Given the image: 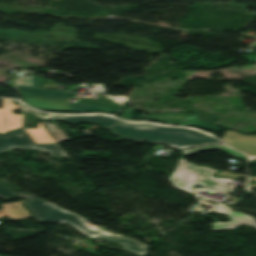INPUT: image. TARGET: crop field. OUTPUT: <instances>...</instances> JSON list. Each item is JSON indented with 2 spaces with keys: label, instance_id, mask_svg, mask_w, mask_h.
I'll return each instance as SVG.
<instances>
[{
  "label": "crop field",
  "instance_id": "obj_1",
  "mask_svg": "<svg viewBox=\"0 0 256 256\" xmlns=\"http://www.w3.org/2000/svg\"><path fill=\"white\" fill-rule=\"evenodd\" d=\"M12 147L43 149L50 152L51 155H64L57 144L35 145L30 136L24 130L13 131L5 136L0 135V152L8 150ZM0 196L4 198L24 197L30 199V201L25 205L32 209L38 222H55L59 220H64L74 226L77 230H79L87 237H103L112 239L120 243L125 249L133 251L140 255H143L148 249L147 247L140 245L130 239L113 236L107 233L102 228L91 229L86 226L82 219L77 217L76 215L62 211L52 205L45 204L44 201L37 198L15 194L3 188L2 186H0Z\"/></svg>",
  "mask_w": 256,
  "mask_h": 256
},
{
  "label": "crop field",
  "instance_id": "obj_2",
  "mask_svg": "<svg viewBox=\"0 0 256 256\" xmlns=\"http://www.w3.org/2000/svg\"><path fill=\"white\" fill-rule=\"evenodd\" d=\"M108 129L127 140H148L160 142L176 148L218 142L217 139L201 132L181 127H167L151 123L131 124L122 122Z\"/></svg>",
  "mask_w": 256,
  "mask_h": 256
},
{
  "label": "crop field",
  "instance_id": "obj_3",
  "mask_svg": "<svg viewBox=\"0 0 256 256\" xmlns=\"http://www.w3.org/2000/svg\"><path fill=\"white\" fill-rule=\"evenodd\" d=\"M25 79V81H22ZM17 86L22 95L55 98L61 99L63 97L73 96L74 92L47 90L41 89V78H17ZM83 104H71L69 111L72 112H86V111H101L113 113L120 108V104L113 98L97 94L95 98L76 97Z\"/></svg>",
  "mask_w": 256,
  "mask_h": 256
},
{
  "label": "crop field",
  "instance_id": "obj_4",
  "mask_svg": "<svg viewBox=\"0 0 256 256\" xmlns=\"http://www.w3.org/2000/svg\"><path fill=\"white\" fill-rule=\"evenodd\" d=\"M215 170L206 166H196L180 159L173 174L169 178L172 185L194 194L191 190L195 183L203 184V187L223 192H231L234 188L227 186L232 180L223 178H214L212 174Z\"/></svg>",
  "mask_w": 256,
  "mask_h": 256
},
{
  "label": "crop field",
  "instance_id": "obj_5",
  "mask_svg": "<svg viewBox=\"0 0 256 256\" xmlns=\"http://www.w3.org/2000/svg\"><path fill=\"white\" fill-rule=\"evenodd\" d=\"M216 116L209 115L205 112H193V113H163V114H151L146 120H155L166 123H173L178 125L196 126L203 129L220 131L219 127L213 126Z\"/></svg>",
  "mask_w": 256,
  "mask_h": 256
},
{
  "label": "crop field",
  "instance_id": "obj_6",
  "mask_svg": "<svg viewBox=\"0 0 256 256\" xmlns=\"http://www.w3.org/2000/svg\"><path fill=\"white\" fill-rule=\"evenodd\" d=\"M222 140L228 142L235 149L256 156V136L254 135H241L238 132L227 130Z\"/></svg>",
  "mask_w": 256,
  "mask_h": 256
},
{
  "label": "crop field",
  "instance_id": "obj_7",
  "mask_svg": "<svg viewBox=\"0 0 256 256\" xmlns=\"http://www.w3.org/2000/svg\"><path fill=\"white\" fill-rule=\"evenodd\" d=\"M14 109L20 108L13 104L11 100L2 99V109H0V133L21 126L22 114H13L12 111Z\"/></svg>",
  "mask_w": 256,
  "mask_h": 256
},
{
  "label": "crop field",
  "instance_id": "obj_8",
  "mask_svg": "<svg viewBox=\"0 0 256 256\" xmlns=\"http://www.w3.org/2000/svg\"><path fill=\"white\" fill-rule=\"evenodd\" d=\"M215 212H222L224 214H227L231 218V222L229 223H222V222H215L211 225L213 226L212 230H224V229H232L235 227V225L240 223H247L254 227H256V221L255 219L241 213V212H231L228 211V207L224 204H219L214 209Z\"/></svg>",
  "mask_w": 256,
  "mask_h": 256
},
{
  "label": "crop field",
  "instance_id": "obj_9",
  "mask_svg": "<svg viewBox=\"0 0 256 256\" xmlns=\"http://www.w3.org/2000/svg\"><path fill=\"white\" fill-rule=\"evenodd\" d=\"M45 118L46 120H61V121H67L69 123H78L81 121L98 123L102 125L103 128H106L119 121L109 116H100V115H51Z\"/></svg>",
  "mask_w": 256,
  "mask_h": 256
},
{
  "label": "crop field",
  "instance_id": "obj_10",
  "mask_svg": "<svg viewBox=\"0 0 256 256\" xmlns=\"http://www.w3.org/2000/svg\"><path fill=\"white\" fill-rule=\"evenodd\" d=\"M21 202L1 204L0 218L7 217L11 220L30 218L31 215L28 210L21 205Z\"/></svg>",
  "mask_w": 256,
  "mask_h": 256
},
{
  "label": "crop field",
  "instance_id": "obj_11",
  "mask_svg": "<svg viewBox=\"0 0 256 256\" xmlns=\"http://www.w3.org/2000/svg\"><path fill=\"white\" fill-rule=\"evenodd\" d=\"M215 148H219L227 153H229L230 155L234 156V157H238L240 159H243L245 161H247L246 157L243 156L241 153L234 151L228 147H226L223 144H219V145H212V146H205V147H198V148H191V149H184L181 150L183 152V155H189V154H195L198 151H202V150H208V149H215Z\"/></svg>",
  "mask_w": 256,
  "mask_h": 256
},
{
  "label": "crop field",
  "instance_id": "obj_12",
  "mask_svg": "<svg viewBox=\"0 0 256 256\" xmlns=\"http://www.w3.org/2000/svg\"><path fill=\"white\" fill-rule=\"evenodd\" d=\"M48 134L53 138L55 142H61L63 140H70L57 123H45L41 122Z\"/></svg>",
  "mask_w": 256,
  "mask_h": 256
},
{
  "label": "crop field",
  "instance_id": "obj_13",
  "mask_svg": "<svg viewBox=\"0 0 256 256\" xmlns=\"http://www.w3.org/2000/svg\"><path fill=\"white\" fill-rule=\"evenodd\" d=\"M38 127L35 129L24 128L30 134L35 143H46V142H54L51 137L44 130L42 125L37 123Z\"/></svg>",
  "mask_w": 256,
  "mask_h": 256
},
{
  "label": "crop field",
  "instance_id": "obj_14",
  "mask_svg": "<svg viewBox=\"0 0 256 256\" xmlns=\"http://www.w3.org/2000/svg\"><path fill=\"white\" fill-rule=\"evenodd\" d=\"M37 121L36 118L29 114V113H24V126H34L33 122Z\"/></svg>",
  "mask_w": 256,
  "mask_h": 256
},
{
  "label": "crop field",
  "instance_id": "obj_15",
  "mask_svg": "<svg viewBox=\"0 0 256 256\" xmlns=\"http://www.w3.org/2000/svg\"><path fill=\"white\" fill-rule=\"evenodd\" d=\"M136 110L132 109V108H126L125 112L123 113L122 117L123 119L126 120H131L132 116L134 115Z\"/></svg>",
  "mask_w": 256,
  "mask_h": 256
},
{
  "label": "crop field",
  "instance_id": "obj_16",
  "mask_svg": "<svg viewBox=\"0 0 256 256\" xmlns=\"http://www.w3.org/2000/svg\"><path fill=\"white\" fill-rule=\"evenodd\" d=\"M217 175H220V176H229V177H239V176L246 177V175H243V174L229 173V172H225V171H222V172H220V173L217 174Z\"/></svg>",
  "mask_w": 256,
  "mask_h": 256
},
{
  "label": "crop field",
  "instance_id": "obj_17",
  "mask_svg": "<svg viewBox=\"0 0 256 256\" xmlns=\"http://www.w3.org/2000/svg\"><path fill=\"white\" fill-rule=\"evenodd\" d=\"M92 86L95 87V89H92V91H97V92H101V93H105V89L102 87L103 85L102 84H90Z\"/></svg>",
  "mask_w": 256,
  "mask_h": 256
},
{
  "label": "crop field",
  "instance_id": "obj_18",
  "mask_svg": "<svg viewBox=\"0 0 256 256\" xmlns=\"http://www.w3.org/2000/svg\"><path fill=\"white\" fill-rule=\"evenodd\" d=\"M10 81H15V79H13V75H17V73H10Z\"/></svg>",
  "mask_w": 256,
  "mask_h": 256
},
{
  "label": "crop field",
  "instance_id": "obj_19",
  "mask_svg": "<svg viewBox=\"0 0 256 256\" xmlns=\"http://www.w3.org/2000/svg\"><path fill=\"white\" fill-rule=\"evenodd\" d=\"M250 188L251 189L256 188V184H254V183L250 184Z\"/></svg>",
  "mask_w": 256,
  "mask_h": 256
},
{
  "label": "crop field",
  "instance_id": "obj_20",
  "mask_svg": "<svg viewBox=\"0 0 256 256\" xmlns=\"http://www.w3.org/2000/svg\"><path fill=\"white\" fill-rule=\"evenodd\" d=\"M10 87L15 88L14 83H10Z\"/></svg>",
  "mask_w": 256,
  "mask_h": 256
},
{
  "label": "crop field",
  "instance_id": "obj_21",
  "mask_svg": "<svg viewBox=\"0 0 256 256\" xmlns=\"http://www.w3.org/2000/svg\"><path fill=\"white\" fill-rule=\"evenodd\" d=\"M251 179H252L253 181H256V177H251Z\"/></svg>",
  "mask_w": 256,
  "mask_h": 256
}]
</instances>
